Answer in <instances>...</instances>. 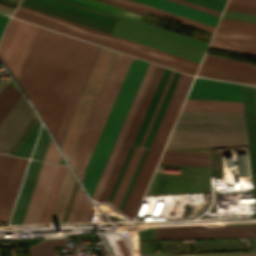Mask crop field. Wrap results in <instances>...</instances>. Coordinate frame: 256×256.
<instances>
[{"mask_svg":"<svg viewBox=\"0 0 256 256\" xmlns=\"http://www.w3.org/2000/svg\"><path fill=\"white\" fill-rule=\"evenodd\" d=\"M39 125H40V123L38 121V123L35 125V127L32 129V131L29 133L27 138L24 140V142L21 144V146L15 152L16 155H21V156H25V157L30 156Z\"/></svg>","mask_w":256,"mask_h":256,"instance_id":"29","label":"crop field"},{"mask_svg":"<svg viewBox=\"0 0 256 256\" xmlns=\"http://www.w3.org/2000/svg\"><path fill=\"white\" fill-rule=\"evenodd\" d=\"M228 2L256 6V0H229Z\"/></svg>","mask_w":256,"mask_h":256,"instance_id":"39","label":"crop field"},{"mask_svg":"<svg viewBox=\"0 0 256 256\" xmlns=\"http://www.w3.org/2000/svg\"><path fill=\"white\" fill-rule=\"evenodd\" d=\"M65 168L66 167H64V166H60V165L58 166V169H57V172H56V175H55V178H54V181H53V184H52L50 193L48 195V198H47V201H46V204H45V207H44V210H43V213H42L39 223H47L48 222V219H49V216H50V213H51V210H52V207H53V204H54L64 171H65Z\"/></svg>","mask_w":256,"mask_h":256,"instance_id":"24","label":"crop field"},{"mask_svg":"<svg viewBox=\"0 0 256 256\" xmlns=\"http://www.w3.org/2000/svg\"><path fill=\"white\" fill-rule=\"evenodd\" d=\"M74 38L38 28L17 78L42 117ZM101 47L75 40L42 117L60 146Z\"/></svg>","mask_w":256,"mask_h":256,"instance_id":"2","label":"crop field"},{"mask_svg":"<svg viewBox=\"0 0 256 256\" xmlns=\"http://www.w3.org/2000/svg\"><path fill=\"white\" fill-rule=\"evenodd\" d=\"M5 86L4 83H0V91L2 90V88Z\"/></svg>","mask_w":256,"mask_h":256,"instance_id":"46","label":"crop field"},{"mask_svg":"<svg viewBox=\"0 0 256 256\" xmlns=\"http://www.w3.org/2000/svg\"><path fill=\"white\" fill-rule=\"evenodd\" d=\"M101 1H104V2L113 4V5L128 9V10H131V11L143 14V15L145 14L146 11H148V12H151V13H154V14H157V15H160V16H163V17H166V18H169V19H172V20H175V21H178V22H181V23H184V24H187V25H190V26H193V27H196V28H199V29H202V30L213 33V30H210V29L198 26V25H194V24H191V23H188V22H185V21L167 16V15H164V14H160V13H157V12H154V11H151V10H148V9H145V8H142V7L130 4V3L120 1V0H101Z\"/></svg>","mask_w":256,"mask_h":256,"instance_id":"27","label":"crop field"},{"mask_svg":"<svg viewBox=\"0 0 256 256\" xmlns=\"http://www.w3.org/2000/svg\"><path fill=\"white\" fill-rule=\"evenodd\" d=\"M33 114L22 94L0 124V152L8 149Z\"/></svg>","mask_w":256,"mask_h":256,"instance_id":"15","label":"crop field"},{"mask_svg":"<svg viewBox=\"0 0 256 256\" xmlns=\"http://www.w3.org/2000/svg\"><path fill=\"white\" fill-rule=\"evenodd\" d=\"M49 140L50 138L42 126L32 158L41 160L44 159Z\"/></svg>","mask_w":256,"mask_h":256,"instance_id":"30","label":"crop field"},{"mask_svg":"<svg viewBox=\"0 0 256 256\" xmlns=\"http://www.w3.org/2000/svg\"><path fill=\"white\" fill-rule=\"evenodd\" d=\"M174 14H178L211 26H216L219 16L203 12L169 0H135Z\"/></svg>","mask_w":256,"mask_h":256,"instance_id":"18","label":"crop field"},{"mask_svg":"<svg viewBox=\"0 0 256 256\" xmlns=\"http://www.w3.org/2000/svg\"><path fill=\"white\" fill-rule=\"evenodd\" d=\"M41 163L42 162L40 161L31 160L15 209L13 211V214L9 223L10 225H16V224L22 223Z\"/></svg>","mask_w":256,"mask_h":256,"instance_id":"19","label":"crop field"},{"mask_svg":"<svg viewBox=\"0 0 256 256\" xmlns=\"http://www.w3.org/2000/svg\"><path fill=\"white\" fill-rule=\"evenodd\" d=\"M117 54L118 53L116 52L104 48L102 49L60 146L63 154L70 164ZM132 59V57L120 53L116 58L111 73L71 164L79 180ZM148 64V62L134 58L127 72L81 179L84 188L90 196H92ZM106 139H108V141H106Z\"/></svg>","mask_w":256,"mask_h":256,"instance_id":"1","label":"crop field"},{"mask_svg":"<svg viewBox=\"0 0 256 256\" xmlns=\"http://www.w3.org/2000/svg\"><path fill=\"white\" fill-rule=\"evenodd\" d=\"M219 25L256 31V23L222 18Z\"/></svg>","mask_w":256,"mask_h":256,"instance_id":"31","label":"crop field"},{"mask_svg":"<svg viewBox=\"0 0 256 256\" xmlns=\"http://www.w3.org/2000/svg\"><path fill=\"white\" fill-rule=\"evenodd\" d=\"M67 245L66 238L45 240L40 244L29 247L30 256H55L54 246Z\"/></svg>","mask_w":256,"mask_h":256,"instance_id":"26","label":"crop field"},{"mask_svg":"<svg viewBox=\"0 0 256 256\" xmlns=\"http://www.w3.org/2000/svg\"><path fill=\"white\" fill-rule=\"evenodd\" d=\"M56 164L42 163L24 220L22 224L38 223L56 169Z\"/></svg>","mask_w":256,"mask_h":256,"instance_id":"14","label":"crop field"},{"mask_svg":"<svg viewBox=\"0 0 256 256\" xmlns=\"http://www.w3.org/2000/svg\"><path fill=\"white\" fill-rule=\"evenodd\" d=\"M254 95H255V103H256V92L254 91Z\"/></svg>","mask_w":256,"mask_h":256,"instance_id":"47","label":"crop field"},{"mask_svg":"<svg viewBox=\"0 0 256 256\" xmlns=\"http://www.w3.org/2000/svg\"><path fill=\"white\" fill-rule=\"evenodd\" d=\"M256 237V225L216 226L200 229L196 226L157 228L156 239ZM256 252V238H253Z\"/></svg>","mask_w":256,"mask_h":256,"instance_id":"12","label":"crop field"},{"mask_svg":"<svg viewBox=\"0 0 256 256\" xmlns=\"http://www.w3.org/2000/svg\"><path fill=\"white\" fill-rule=\"evenodd\" d=\"M174 130L246 134L244 114L182 110ZM173 131L165 149L248 144L246 135Z\"/></svg>","mask_w":256,"mask_h":256,"instance_id":"4","label":"crop field"},{"mask_svg":"<svg viewBox=\"0 0 256 256\" xmlns=\"http://www.w3.org/2000/svg\"><path fill=\"white\" fill-rule=\"evenodd\" d=\"M78 1H81V2L90 4V5H93V6H96V7H99V8L117 13V14H120V15L129 17V18H132V19H135V20L140 21V19L142 17L139 14L129 12V11H126V10H123V9H120V8H117V7H114V6H111V5H107V4H104V3H101V2H98V1H95V0H78Z\"/></svg>","mask_w":256,"mask_h":256,"instance_id":"28","label":"crop field"},{"mask_svg":"<svg viewBox=\"0 0 256 256\" xmlns=\"http://www.w3.org/2000/svg\"><path fill=\"white\" fill-rule=\"evenodd\" d=\"M110 33L201 61L207 43L121 16Z\"/></svg>","mask_w":256,"mask_h":256,"instance_id":"8","label":"crop field"},{"mask_svg":"<svg viewBox=\"0 0 256 256\" xmlns=\"http://www.w3.org/2000/svg\"><path fill=\"white\" fill-rule=\"evenodd\" d=\"M183 109L244 113L242 102L187 99Z\"/></svg>","mask_w":256,"mask_h":256,"instance_id":"20","label":"crop field"},{"mask_svg":"<svg viewBox=\"0 0 256 256\" xmlns=\"http://www.w3.org/2000/svg\"><path fill=\"white\" fill-rule=\"evenodd\" d=\"M209 47L256 56V35L217 29Z\"/></svg>","mask_w":256,"mask_h":256,"instance_id":"17","label":"crop field"},{"mask_svg":"<svg viewBox=\"0 0 256 256\" xmlns=\"http://www.w3.org/2000/svg\"><path fill=\"white\" fill-rule=\"evenodd\" d=\"M37 26L11 18L0 43V57L17 78Z\"/></svg>","mask_w":256,"mask_h":256,"instance_id":"10","label":"crop field"},{"mask_svg":"<svg viewBox=\"0 0 256 256\" xmlns=\"http://www.w3.org/2000/svg\"><path fill=\"white\" fill-rule=\"evenodd\" d=\"M13 16L191 74H195L200 64L193 60L116 37L21 5H19Z\"/></svg>","mask_w":256,"mask_h":256,"instance_id":"3","label":"crop field"},{"mask_svg":"<svg viewBox=\"0 0 256 256\" xmlns=\"http://www.w3.org/2000/svg\"><path fill=\"white\" fill-rule=\"evenodd\" d=\"M0 13H4V14H7V15H11V12H8V11H5V10H1V9H0Z\"/></svg>","mask_w":256,"mask_h":256,"instance_id":"44","label":"crop field"},{"mask_svg":"<svg viewBox=\"0 0 256 256\" xmlns=\"http://www.w3.org/2000/svg\"><path fill=\"white\" fill-rule=\"evenodd\" d=\"M198 5H202L217 11H222L225 2L219 1V0H186Z\"/></svg>","mask_w":256,"mask_h":256,"instance_id":"32","label":"crop field"},{"mask_svg":"<svg viewBox=\"0 0 256 256\" xmlns=\"http://www.w3.org/2000/svg\"><path fill=\"white\" fill-rule=\"evenodd\" d=\"M193 77L181 74L160 125L156 131L136 181L127 199L123 213L134 217L161 150L182 106Z\"/></svg>","mask_w":256,"mask_h":256,"instance_id":"7","label":"crop field"},{"mask_svg":"<svg viewBox=\"0 0 256 256\" xmlns=\"http://www.w3.org/2000/svg\"><path fill=\"white\" fill-rule=\"evenodd\" d=\"M180 72L164 69L149 107L108 200L113 209L121 212L151 140L165 111Z\"/></svg>","mask_w":256,"mask_h":256,"instance_id":"5","label":"crop field"},{"mask_svg":"<svg viewBox=\"0 0 256 256\" xmlns=\"http://www.w3.org/2000/svg\"><path fill=\"white\" fill-rule=\"evenodd\" d=\"M225 9L256 14V7L244 5L228 3Z\"/></svg>","mask_w":256,"mask_h":256,"instance_id":"37","label":"crop field"},{"mask_svg":"<svg viewBox=\"0 0 256 256\" xmlns=\"http://www.w3.org/2000/svg\"><path fill=\"white\" fill-rule=\"evenodd\" d=\"M0 4L7 5V6H10L13 8H15V6H16V4H13V3H10V2L4 1V0H0Z\"/></svg>","mask_w":256,"mask_h":256,"instance_id":"43","label":"crop field"},{"mask_svg":"<svg viewBox=\"0 0 256 256\" xmlns=\"http://www.w3.org/2000/svg\"><path fill=\"white\" fill-rule=\"evenodd\" d=\"M60 158H61V156H60L59 152L57 151L53 142L50 140L48 150H47L44 160L58 163Z\"/></svg>","mask_w":256,"mask_h":256,"instance_id":"35","label":"crop field"},{"mask_svg":"<svg viewBox=\"0 0 256 256\" xmlns=\"http://www.w3.org/2000/svg\"><path fill=\"white\" fill-rule=\"evenodd\" d=\"M123 1H127V2H130V3L136 4V5H139V6H142V7H145V8H148V9H151V10H154V11H157V12H160V13H164V14H167V15H170V16H173V17H176V18H179V19H182V20H185V21L194 23V24H198V25H201V26H204V27L213 29V30L215 29L214 27H211V26H208V25H205V24L196 22V21H192V20H189V19H186V18L177 16V15H174V14H171V13H168V12H165V11H162V10H159V9H156V8H153V7H149V6H146V5H143V4H140V3H137V2L131 1V0H123Z\"/></svg>","mask_w":256,"mask_h":256,"instance_id":"34","label":"crop field"},{"mask_svg":"<svg viewBox=\"0 0 256 256\" xmlns=\"http://www.w3.org/2000/svg\"><path fill=\"white\" fill-rule=\"evenodd\" d=\"M7 19H8V17L0 15V36H1V33L4 29V26L6 24Z\"/></svg>","mask_w":256,"mask_h":256,"instance_id":"40","label":"crop field"},{"mask_svg":"<svg viewBox=\"0 0 256 256\" xmlns=\"http://www.w3.org/2000/svg\"><path fill=\"white\" fill-rule=\"evenodd\" d=\"M155 256H256V253L191 254V255H155Z\"/></svg>","mask_w":256,"mask_h":256,"instance_id":"36","label":"crop field"},{"mask_svg":"<svg viewBox=\"0 0 256 256\" xmlns=\"http://www.w3.org/2000/svg\"><path fill=\"white\" fill-rule=\"evenodd\" d=\"M21 5L108 33L120 17L74 0H22Z\"/></svg>","mask_w":256,"mask_h":256,"instance_id":"9","label":"crop field"},{"mask_svg":"<svg viewBox=\"0 0 256 256\" xmlns=\"http://www.w3.org/2000/svg\"><path fill=\"white\" fill-rule=\"evenodd\" d=\"M187 98L242 101L239 84L196 78Z\"/></svg>","mask_w":256,"mask_h":256,"instance_id":"16","label":"crop field"},{"mask_svg":"<svg viewBox=\"0 0 256 256\" xmlns=\"http://www.w3.org/2000/svg\"><path fill=\"white\" fill-rule=\"evenodd\" d=\"M197 76L256 85V66L206 54Z\"/></svg>","mask_w":256,"mask_h":256,"instance_id":"11","label":"crop field"},{"mask_svg":"<svg viewBox=\"0 0 256 256\" xmlns=\"http://www.w3.org/2000/svg\"><path fill=\"white\" fill-rule=\"evenodd\" d=\"M74 181L75 179L72 173L70 172L69 168H66L48 223L62 221Z\"/></svg>","mask_w":256,"mask_h":256,"instance_id":"21","label":"crop field"},{"mask_svg":"<svg viewBox=\"0 0 256 256\" xmlns=\"http://www.w3.org/2000/svg\"><path fill=\"white\" fill-rule=\"evenodd\" d=\"M222 1H225V2H226L227 0H222Z\"/></svg>","mask_w":256,"mask_h":256,"instance_id":"48","label":"crop field"},{"mask_svg":"<svg viewBox=\"0 0 256 256\" xmlns=\"http://www.w3.org/2000/svg\"><path fill=\"white\" fill-rule=\"evenodd\" d=\"M222 17L256 22V15L225 10Z\"/></svg>","mask_w":256,"mask_h":256,"instance_id":"33","label":"crop field"},{"mask_svg":"<svg viewBox=\"0 0 256 256\" xmlns=\"http://www.w3.org/2000/svg\"><path fill=\"white\" fill-rule=\"evenodd\" d=\"M11 212H7V211H3L0 217V220H5L8 221L9 220V216H10Z\"/></svg>","mask_w":256,"mask_h":256,"instance_id":"42","label":"crop field"},{"mask_svg":"<svg viewBox=\"0 0 256 256\" xmlns=\"http://www.w3.org/2000/svg\"><path fill=\"white\" fill-rule=\"evenodd\" d=\"M160 163L207 167L206 153L165 150Z\"/></svg>","mask_w":256,"mask_h":256,"instance_id":"22","label":"crop field"},{"mask_svg":"<svg viewBox=\"0 0 256 256\" xmlns=\"http://www.w3.org/2000/svg\"><path fill=\"white\" fill-rule=\"evenodd\" d=\"M28 159L0 154V202L14 204ZM0 203L12 208L11 204Z\"/></svg>","mask_w":256,"mask_h":256,"instance_id":"13","label":"crop field"},{"mask_svg":"<svg viewBox=\"0 0 256 256\" xmlns=\"http://www.w3.org/2000/svg\"><path fill=\"white\" fill-rule=\"evenodd\" d=\"M161 66L149 64L123 127L92 197L107 201L161 76Z\"/></svg>","mask_w":256,"mask_h":256,"instance_id":"6","label":"crop field"},{"mask_svg":"<svg viewBox=\"0 0 256 256\" xmlns=\"http://www.w3.org/2000/svg\"><path fill=\"white\" fill-rule=\"evenodd\" d=\"M242 87H245V88H249V89H253V90H256V87L245 86V85H242Z\"/></svg>","mask_w":256,"mask_h":256,"instance_id":"45","label":"crop field"},{"mask_svg":"<svg viewBox=\"0 0 256 256\" xmlns=\"http://www.w3.org/2000/svg\"><path fill=\"white\" fill-rule=\"evenodd\" d=\"M217 28L256 34V32H253V31H247V30H240V29L227 28V27H221V26H218Z\"/></svg>","mask_w":256,"mask_h":256,"instance_id":"41","label":"crop field"},{"mask_svg":"<svg viewBox=\"0 0 256 256\" xmlns=\"http://www.w3.org/2000/svg\"><path fill=\"white\" fill-rule=\"evenodd\" d=\"M92 205L85 196L84 192L78 186L76 196L70 211L67 222L88 221Z\"/></svg>","mask_w":256,"mask_h":256,"instance_id":"23","label":"crop field"},{"mask_svg":"<svg viewBox=\"0 0 256 256\" xmlns=\"http://www.w3.org/2000/svg\"><path fill=\"white\" fill-rule=\"evenodd\" d=\"M21 92L10 85H6L0 93V122L21 96Z\"/></svg>","mask_w":256,"mask_h":256,"instance_id":"25","label":"crop field"},{"mask_svg":"<svg viewBox=\"0 0 256 256\" xmlns=\"http://www.w3.org/2000/svg\"><path fill=\"white\" fill-rule=\"evenodd\" d=\"M173 1H176V2H179V3H182V4H185V5H188V6H191V7L200 9V10H203V11H207V12H210V13H213V14H216V15H219V16H220V14H221L220 12H217V11H214V10H211V9H208V8H205V7H202V6H198V5H195V4H192V3H189V2L183 1V0H173Z\"/></svg>","mask_w":256,"mask_h":256,"instance_id":"38","label":"crop field"}]
</instances>
